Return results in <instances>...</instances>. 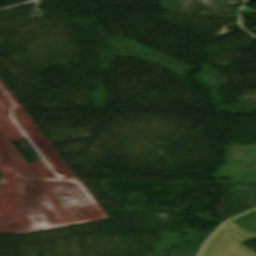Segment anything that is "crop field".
<instances>
[{
	"label": "crop field",
	"instance_id": "34b2d1b8",
	"mask_svg": "<svg viewBox=\"0 0 256 256\" xmlns=\"http://www.w3.org/2000/svg\"><path fill=\"white\" fill-rule=\"evenodd\" d=\"M241 12H244V13H250V14H255V13H252V12H246V11H241Z\"/></svg>",
	"mask_w": 256,
	"mask_h": 256
},
{
	"label": "crop field",
	"instance_id": "412701ff",
	"mask_svg": "<svg viewBox=\"0 0 256 256\" xmlns=\"http://www.w3.org/2000/svg\"><path fill=\"white\" fill-rule=\"evenodd\" d=\"M253 31H256V28L252 29Z\"/></svg>",
	"mask_w": 256,
	"mask_h": 256
},
{
	"label": "crop field",
	"instance_id": "f4fd0767",
	"mask_svg": "<svg viewBox=\"0 0 256 256\" xmlns=\"http://www.w3.org/2000/svg\"><path fill=\"white\" fill-rule=\"evenodd\" d=\"M245 9H248V8H245Z\"/></svg>",
	"mask_w": 256,
	"mask_h": 256
},
{
	"label": "crop field",
	"instance_id": "8a807250",
	"mask_svg": "<svg viewBox=\"0 0 256 256\" xmlns=\"http://www.w3.org/2000/svg\"><path fill=\"white\" fill-rule=\"evenodd\" d=\"M229 225H223L206 243L200 256H256V253L228 237Z\"/></svg>",
	"mask_w": 256,
	"mask_h": 256
},
{
	"label": "crop field",
	"instance_id": "ac0d7876",
	"mask_svg": "<svg viewBox=\"0 0 256 256\" xmlns=\"http://www.w3.org/2000/svg\"><path fill=\"white\" fill-rule=\"evenodd\" d=\"M230 224H232V223H230ZM230 236L234 237L235 239H237L241 242L256 238L255 235L235 226L234 224H232Z\"/></svg>",
	"mask_w": 256,
	"mask_h": 256
}]
</instances>
